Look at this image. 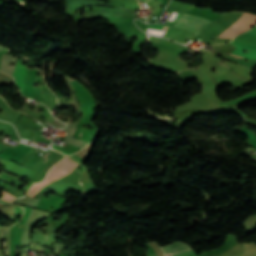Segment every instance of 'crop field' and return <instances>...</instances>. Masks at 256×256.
<instances>
[{
    "mask_svg": "<svg viewBox=\"0 0 256 256\" xmlns=\"http://www.w3.org/2000/svg\"><path fill=\"white\" fill-rule=\"evenodd\" d=\"M79 162L76 160L66 156L64 159H62L58 164H56L47 174L44 181L34 185L30 191L28 192L29 195L36 194L42 186L45 184L60 178L66 174H68L75 166L78 165Z\"/></svg>",
    "mask_w": 256,
    "mask_h": 256,
    "instance_id": "8a807250",
    "label": "crop field"
},
{
    "mask_svg": "<svg viewBox=\"0 0 256 256\" xmlns=\"http://www.w3.org/2000/svg\"><path fill=\"white\" fill-rule=\"evenodd\" d=\"M234 40H238V41L245 42L250 45L256 46V27H254L252 30H249L246 33H243V34L235 37ZM234 40H232V42H230L236 48L234 51L231 52L232 54L240 55V56H242V58L256 59V47H253V46H250V45H247L244 43H240V42H237ZM245 49L247 50L246 53L243 52V50H245ZM248 49H250L251 52H248ZM233 56H235V55H233ZM237 57H239V56H237Z\"/></svg>",
    "mask_w": 256,
    "mask_h": 256,
    "instance_id": "ac0d7876",
    "label": "crop field"
},
{
    "mask_svg": "<svg viewBox=\"0 0 256 256\" xmlns=\"http://www.w3.org/2000/svg\"><path fill=\"white\" fill-rule=\"evenodd\" d=\"M210 21L205 20L201 17L190 16L186 14H182L177 21L175 22V26L183 27L185 29H189L194 31L196 34L206 26Z\"/></svg>",
    "mask_w": 256,
    "mask_h": 256,
    "instance_id": "34b2d1b8",
    "label": "crop field"
},
{
    "mask_svg": "<svg viewBox=\"0 0 256 256\" xmlns=\"http://www.w3.org/2000/svg\"><path fill=\"white\" fill-rule=\"evenodd\" d=\"M18 61V60H17ZM20 61L16 64L15 71L13 77L15 78L16 84L21 89V94L23 93V82L26 77L27 68L21 64H19Z\"/></svg>",
    "mask_w": 256,
    "mask_h": 256,
    "instance_id": "412701ff",
    "label": "crop field"
},
{
    "mask_svg": "<svg viewBox=\"0 0 256 256\" xmlns=\"http://www.w3.org/2000/svg\"><path fill=\"white\" fill-rule=\"evenodd\" d=\"M162 249L165 252V254L170 253V255L172 256V255H175V254H178V253L190 250V247L187 246V245H184V244H182L180 242H177V243L165 246ZM170 255L167 254L165 256H170Z\"/></svg>",
    "mask_w": 256,
    "mask_h": 256,
    "instance_id": "f4fd0767",
    "label": "crop field"
},
{
    "mask_svg": "<svg viewBox=\"0 0 256 256\" xmlns=\"http://www.w3.org/2000/svg\"><path fill=\"white\" fill-rule=\"evenodd\" d=\"M0 198H2V199L5 200V201L11 202V200H12L13 198H16V197H14V196H12V195H10V194H8V193H6V192L3 191V194H2V196H1Z\"/></svg>",
    "mask_w": 256,
    "mask_h": 256,
    "instance_id": "dd49c442",
    "label": "crop field"
},
{
    "mask_svg": "<svg viewBox=\"0 0 256 256\" xmlns=\"http://www.w3.org/2000/svg\"><path fill=\"white\" fill-rule=\"evenodd\" d=\"M147 28L161 30L163 27L162 26H157V25H148ZM167 29H168L167 27H164L162 30L166 31Z\"/></svg>",
    "mask_w": 256,
    "mask_h": 256,
    "instance_id": "e52e79f7",
    "label": "crop field"
},
{
    "mask_svg": "<svg viewBox=\"0 0 256 256\" xmlns=\"http://www.w3.org/2000/svg\"><path fill=\"white\" fill-rule=\"evenodd\" d=\"M52 147H53L54 149H56V150H59V151H61V152L66 153V154H72V153H70V152H68V151H65V150H63V149H61V148H59V147L54 146V145H52ZM64 153H63V154H64Z\"/></svg>",
    "mask_w": 256,
    "mask_h": 256,
    "instance_id": "d8731c3e",
    "label": "crop field"
},
{
    "mask_svg": "<svg viewBox=\"0 0 256 256\" xmlns=\"http://www.w3.org/2000/svg\"><path fill=\"white\" fill-rule=\"evenodd\" d=\"M178 16L179 14H176L175 17L173 18V21H175Z\"/></svg>",
    "mask_w": 256,
    "mask_h": 256,
    "instance_id": "5a996713",
    "label": "crop field"
},
{
    "mask_svg": "<svg viewBox=\"0 0 256 256\" xmlns=\"http://www.w3.org/2000/svg\"><path fill=\"white\" fill-rule=\"evenodd\" d=\"M48 155H49V153L46 156H44V158H46Z\"/></svg>",
    "mask_w": 256,
    "mask_h": 256,
    "instance_id": "3316defc",
    "label": "crop field"
}]
</instances>
